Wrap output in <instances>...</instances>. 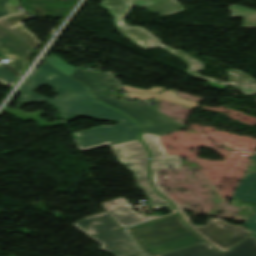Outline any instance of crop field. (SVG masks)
I'll return each mask as SVG.
<instances>
[{"label":"crop field","instance_id":"obj_1","mask_svg":"<svg viewBox=\"0 0 256 256\" xmlns=\"http://www.w3.org/2000/svg\"><path fill=\"white\" fill-rule=\"evenodd\" d=\"M32 83H24L20 103L47 102L59 110L67 121L84 116L93 120H114L120 124L100 126L74 133L75 142L83 151L138 139L137 124L120 112L96 102L88 89L81 83L61 74L47 62L36 69L28 78ZM43 85L58 93L56 99L42 97L32 90Z\"/></svg>","mask_w":256,"mask_h":256},{"label":"crop field","instance_id":"obj_2","mask_svg":"<svg viewBox=\"0 0 256 256\" xmlns=\"http://www.w3.org/2000/svg\"><path fill=\"white\" fill-rule=\"evenodd\" d=\"M127 232L142 251L151 256L205 241L191 231L178 214L128 228Z\"/></svg>","mask_w":256,"mask_h":256},{"label":"crop field","instance_id":"obj_3","mask_svg":"<svg viewBox=\"0 0 256 256\" xmlns=\"http://www.w3.org/2000/svg\"><path fill=\"white\" fill-rule=\"evenodd\" d=\"M119 31L141 48L162 46L169 52L178 55L181 59H183L186 63L190 65L189 70L185 72L193 75L195 78L209 81L208 84L213 87L224 89L226 86L231 84L246 95L256 93V80H254L253 77L249 74L238 71L236 69L227 70L229 74V83L212 78L203 77L200 76L198 73L204 70V63L200 62L199 60L193 58L192 56L188 55L187 53L181 50H173L165 45H162L160 40L146 29L142 27H127Z\"/></svg>","mask_w":256,"mask_h":256},{"label":"crop field","instance_id":"obj_4","mask_svg":"<svg viewBox=\"0 0 256 256\" xmlns=\"http://www.w3.org/2000/svg\"><path fill=\"white\" fill-rule=\"evenodd\" d=\"M87 235L97 240L115 256H139L141 253L135 247L121 226L107 213L88 217L75 224Z\"/></svg>","mask_w":256,"mask_h":256},{"label":"crop field","instance_id":"obj_5","mask_svg":"<svg viewBox=\"0 0 256 256\" xmlns=\"http://www.w3.org/2000/svg\"><path fill=\"white\" fill-rule=\"evenodd\" d=\"M119 161L130 169L136 180L137 186L144 191L152 200L150 205L155 206L166 203L173 211L174 207L160 196L149 183L148 176V153L139 140L113 145Z\"/></svg>","mask_w":256,"mask_h":256},{"label":"crop field","instance_id":"obj_6","mask_svg":"<svg viewBox=\"0 0 256 256\" xmlns=\"http://www.w3.org/2000/svg\"><path fill=\"white\" fill-rule=\"evenodd\" d=\"M95 98L119 111L126 113L142 126L143 133H145L144 131H147L149 134L164 135L185 127L161 115L159 112L149 106L121 101L117 99L113 93H108Z\"/></svg>","mask_w":256,"mask_h":256},{"label":"crop field","instance_id":"obj_7","mask_svg":"<svg viewBox=\"0 0 256 256\" xmlns=\"http://www.w3.org/2000/svg\"><path fill=\"white\" fill-rule=\"evenodd\" d=\"M185 221L197 231L203 238L212 243L218 249L227 251L232 246L252 235L243 226L228 224L223 219L209 218L205 226L193 225L184 211L180 212Z\"/></svg>","mask_w":256,"mask_h":256},{"label":"crop field","instance_id":"obj_8","mask_svg":"<svg viewBox=\"0 0 256 256\" xmlns=\"http://www.w3.org/2000/svg\"><path fill=\"white\" fill-rule=\"evenodd\" d=\"M142 5L154 12L166 15L185 10L176 0H102L100 6L107 9L115 17L114 24L119 29L127 27L124 17L129 14L132 6Z\"/></svg>","mask_w":256,"mask_h":256},{"label":"crop field","instance_id":"obj_9","mask_svg":"<svg viewBox=\"0 0 256 256\" xmlns=\"http://www.w3.org/2000/svg\"><path fill=\"white\" fill-rule=\"evenodd\" d=\"M256 256V239L252 235L224 254L208 243L181 249L160 256Z\"/></svg>","mask_w":256,"mask_h":256},{"label":"crop field","instance_id":"obj_10","mask_svg":"<svg viewBox=\"0 0 256 256\" xmlns=\"http://www.w3.org/2000/svg\"><path fill=\"white\" fill-rule=\"evenodd\" d=\"M142 137L143 141L152 152L151 172L152 182L155 188L157 189L158 192L165 195L177 207L178 210H181L182 207L179 205V203L157 186L155 179V167H179L181 164L182 157L167 155L164 148L161 146L159 142L158 135L143 134Z\"/></svg>","mask_w":256,"mask_h":256},{"label":"crop field","instance_id":"obj_11","mask_svg":"<svg viewBox=\"0 0 256 256\" xmlns=\"http://www.w3.org/2000/svg\"><path fill=\"white\" fill-rule=\"evenodd\" d=\"M0 53L9 58L6 63L17 75L26 69L30 49L0 28Z\"/></svg>","mask_w":256,"mask_h":256},{"label":"crop field","instance_id":"obj_12","mask_svg":"<svg viewBox=\"0 0 256 256\" xmlns=\"http://www.w3.org/2000/svg\"><path fill=\"white\" fill-rule=\"evenodd\" d=\"M102 206L122 228L147 220L143 216L136 214L123 197L106 201Z\"/></svg>","mask_w":256,"mask_h":256},{"label":"crop field","instance_id":"obj_13","mask_svg":"<svg viewBox=\"0 0 256 256\" xmlns=\"http://www.w3.org/2000/svg\"><path fill=\"white\" fill-rule=\"evenodd\" d=\"M29 18H31L29 15L23 13L1 19L0 25L34 50L42 43L21 23Z\"/></svg>","mask_w":256,"mask_h":256},{"label":"crop field","instance_id":"obj_14","mask_svg":"<svg viewBox=\"0 0 256 256\" xmlns=\"http://www.w3.org/2000/svg\"><path fill=\"white\" fill-rule=\"evenodd\" d=\"M252 160L256 161V155L252 156ZM238 196L251 198L250 202L256 203V174H248L246 179L241 181L233 198L237 199ZM245 225L256 237V223H245Z\"/></svg>","mask_w":256,"mask_h":256},{"label":"crop field","instance_id":"obj_15","mask_svg":"<svg viewBox=\"0 0 256 256\" xmlns=\"http://www.w3.org/2000/svg\"><path fill=\"white\" fill-rule=\"evenodd\" d=\"M230 11H232V18L241 17L245 19L242 28H256V10L240 5H232Z\"/></svg>","mask_w":256,"mask_h":256},{"label":"crop field","instance_id":"obj_16","mask_svg":"<svg viewBox=\"0 0 256 256\" xmlns=\"http://www.w3.org/2000/svg\"><path fill=\"white\" fill-rule=\"evenodd\" d=\"M6 112L12 114L13 116L25 121L27 119H31L33 121H35L40 127H52V126H56V125H60L58 123H48L46 121L41 120L38 116L46 114L43 111H36L34 113H26L24 111L18 110V109H11L6 107L5 110Z\"/></svg>","mask_w":256,"mask_h":256},{"label":"crop field","instance_id":"obj_17","mask_svg":"<svg viewBox=\"0 0 256 256\" xmlns=\"http://www.w3.org/2000/svg\"><path fill=\"white\" fill-rule=\"evenodd\" d=\"M112 86H115V87H112ZM89 89H91L93 91L94 96L105 94V93L109 92L110 90L121 91L120 86L118 85L117 81L114 79H109L100 84L92 86Z\"/></svg>","mask_w":256,"mask_h":256},{"label":"crop field","instance_id":"obj_18","mask_svg":"<svg viewBox=\"0 0 256 256\" xmlns=\"http://www.w3.org/2000/svg\"><path fill=\"white\" fill-rule=\"evenodd\" d=\"M49 62H51L54 66H56L59 70H61L63 73L71 76V74L74 72L75 67L65 63L60 58H58L56 55L52 53V55L47 58Z\"/></svg>","mask_w":256,"mask_h":256},{"label":"crop field","instance_id":"obj_19","mask_svg":"<svg viewBox=\"0 0 256 256\" xmlns=\"http://www.w3.org/2000/svg\"><path fill=\"white\" fill-rule=\"evenodd\" d=\"M161 99L173 101V102H176V103H179V104H183V105H186V106H189V107H193V108H196L197 105L199 104L198 102H192V101H187V100H183V99L178 98L175 95L174 91H172V90L166 91L163 94Z\"/></svg>","mask_w":256,"mask_h":256},{"label":"crop field","instance_id":"obj_20","mask_svg":"<svg viewBox=\"0 0 256 256\" xmlns=\"http://www.w3.org/2000/svg\"><path fill=\"white\" fill-rule=\"evenodd\" d=\"M18 77L12 74L3 66H0V83L6 86H13Z\"/></svg>","mask_w":256,"mask_h":256},{"label":"crop field","instance_id":"obj_21","mask_svg":"<svg viewBox=\"0 0 256 256\" xmlns=\"http://www.w3.org/2000/svg\"><path fill=\"white\" fill-rule=\"evenodd\" d=\"M100 73V72H98ZM98 73H95V72H88L84 69H80V68H76L75 72L73 73V75L71 77L79 80L80 82L98 74Z\"/></svg>","mask_w":256,"mask_h":256},{"label":"crop field","instance_id":"obj_22","mask_svg":"<svg viewBox=\"0 0 256 256\" xmlns=\"http://www.w3.org/2000/svg\"><path fill=\"white\" fill-rule=\"evenodd\" d=\"M109 76H110L109 74L103 72V73H101V74H99V75H97V76H95V77H93V78H91V79H89V80L83 82V83H84L87 87H90V86L95 85V84H97V83H99V82H102V81H104V80L109 79V78H108Z\"/></svg>","mask_w":256,"mask_h":256},{"label":"crop field","instance_id":"obj_23","mask_svg":"<svg viewBox=\"0 0 256 256\" xmlns=\"http://www.w3.org/2000/svg\"><path fill=\"white\" fill-rule=\"evenodd\" d=\"M123 88L127 92H146V93H156V92H160V89L164 90V88L162 87H153L151 88V90H146V89L131 87V86H123Z\"/></svg>","mask_w":256,"mask_h":256},{"label":"crop field","instance_id":"obj_24","mask_svg":"<svg viewBox=\"0 0 256 256\" xmlns=\"http://www.w3.org/2000/svg\"><path fill=\"white\" fill-rule=\"evenodd\" d=\"M132 98H137L139 100L159 98V94H145V93H127Z\"/></svg>","mask_w":256,"mask_h":256},{"label":"crop field","instance_id":"obj_25","mask_svg":"<svg viewBox=\"0 0 256 256\" xmlns=\"http://www.w3.org/2000/svg\"><path fill=\"white\" fill-rule=\"evenodd\" d=\"M8 0H0V17L11 14L7 6Z\"/></svg>","mask_w":256,"mask_h":256},{"label":"crop field","instance_id":"obj_26","mask_svg":"<svg viewBox=\"0 0 256 256\" xmlns=\"http://www.w3.org/2000/svg\"><path fill=\"white\" fill-rule=\"evenodd\" d=\"M250 221H255V222H256V212H255L253 218H252ZM250 221H249V222H250Z\"/></svg>","mask_w":256,"mask_h":256},{"label":"crop field","instance_id":"obj_27","mask_svg":"<svg viewBox=\"0 0 256 256\" xmlns=\"http://www.w3.org/2000/svg\"><path fill=\"white\" fill-rule=\"evenodd\" d=\"M238 199H240V200H246V201H249L250 199H248V198H243V197H239Z\"/></svg>","mask_w":256,"mask_h":256},{"label":"crop field","instance_id":"obj_28","mask_svg":"<svg viewBox=\"0 0 256 256\" xmlns=\"http://www.w3.org/2000/svg\"><path fill=\"white\" fill-rule=\"evenodd\" d=\"M142 256H144V255H142Z\"/></svg>","mask_w":256,"mask_h":256}]
</instances>
